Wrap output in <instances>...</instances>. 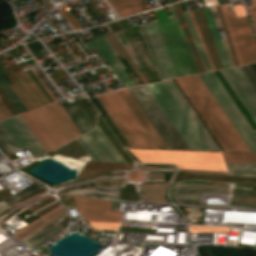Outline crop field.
Segmentation results:
<instances>
[{
  "mask_svg": "<svg viewBox=\"0 0 256 256\" xmlns=\"http://www.w3.org/2000/svg\"><path fill=\"white\" fill-rule=\"evenodd\" d=\"M220 73L245 107L253 121L256 123V91L242 71L239 67H236L221 70ZM199 77L204 82L251 152H256V130H251L213 72L200 74Z\"/></svg>",
  "mask_w": 256,
  "mask_h": 256,
  "instance_id": "8a807250",
  "label": "crop field"
},
{
  "mask_svg": "<svg viewBox=\"0 0 256 256\" xmlns=\"http://www.w3.org/2000/svg\"><path fill=\"white\" fill-rule=\"evenodd\" d=\"M173 82L169 80L146 87L189 149L220 151Z\"/></svg>",
  "mask_w": 256,
  "mask_h": 256,
  "instance_id": "ac0d7876",
  "label": "crop field"
},
{
  "mask_svg": "<svg viewBox=\"0 0 256 256\" xmlns=\"http://www.w3.org/2000/svg\"><path fill=\"white\" fill-rule=\"evenodd\" d=\"M175 81L223 151L250 152L198 75L176 78Z\"/></svg>",
  "mask_w": 256,
  "mask_h": 256,
  "instance_id": "34b2d1b8",
  "label": "crop field"
},
{
  "mask_svg": "<svg viewBox=\"0 0 256 256\" xmlns=\"http://www.w3.org/2000/svg\"><path fill=\"white\" fill-rule=\"evenodd\" d=\"M172 15L167 16L164 8L153 10L157 19L153 20L163 47L176 77L199 73L173 6H168Z\"/></svg>",
  "mask_w": 256,
  "mask_h": 256,
  "instance_id": "412701ff",
  "label": "crop field"
},
{
  "mask_svg": "<svg viewBox=\"0 0 256 256\" xmlns=\"http://www.w3.org/2000/svg\"><path fill=\"white\" fill-rule=\"evenodd\" d=\"M128 150L140 162L174 163L179 169L226 171L220 153Z\"/></svg>",
  "mask_w": 256,
  "mask_h": 256,
  "instance_id": "f4fd0767",
  "label": "crop field"
},
{
  "mask_svg": "<svg viewBox=\"0 0 256 256\" xmlns=\"http://www.w3.org/2000/svg\"><path fill=\"white\" fill-rule=\"evenodd\" d=\"M131 147L156 148L117 91L97 96Z\"/></svg>",
  "mask_w": 256,
  "mask_h": 256,
  "instance_id": "dd49c442",
  "label": "crop field"
},
{
  "mask_svg": "<svg viewBox=\"0 0 256 256\" xmlns=\"http://www.w3.org/2000/svg\"><path fill=\"white\" fill-rule=\"evenodd\" d=\"M128 91L131 93L168 148L188 149L145 85L129 88Z\"/></svg>",
  "mask_w": 256,
  "mask_h": 256,
  "instance_id": "e52e79f7",
  "label": "crop field"
},
{
  "mask_svg": "<svg viewBox=\"0 0 256 256\" xmlns=\"http://www.w3.org/2000/svg\"><path fill=\"white\" fill-rule=\"evenodd\" d=\"M21 117L47 153L68 142L44 107L21 114Z\"/></svg>",
  "mask_w": 256,
  "mask_h": 256,
  "instance_id": "d8731c3e",
  "label": "crop field"
},
{
  "mask_svg": "<svg viewBox=\"0 0 256 256\" xmlns=\"http://www.w3.org/2000/svg\"><path fill=\"white\" fill-rule=\"evenodd\" d=\"M76 139L93 161L125 163L98 126Z\"/></svg>",
  "mask_w": 256,
  "mask_h": 256,
  "instance_id": "5a996713",
  "label": "crop field"
},
{
  "mask_svg": "<svg viewBox=\"0 0 256 256\" xmlns=\"http://www.w3.org/2000/svg\"><path fill=\"white\" fill-rule=\"evenodd\" d=\"M0 123L19 150L27 148L33 158L46 154L19 115L2 120Z\"/></svg>",
  "mask_w": 256,
  "mask_h": 256,
  "instance_id": "3316defc",
  "label": "crop field"
},
{
  "mask_svg": "<svg viewBox=\"0 0 256 256\" xmlns=\"http://www.w3.org/2000/svg\"><path fill=\"white\" fill-rule=\"evenodd\" d=\"M227 16L235 36L243 63L256 61V42L245 16L236 18L233 11Z\"/></svg>",
  "mask_w": 256,
  "mask_h": 256,
  "instance_id": "28ad6ade",
  "label": "crop field"
},
{
  "mask_svg": "<svg viewBox=\"0 0 256 256\" xmlns=\"http://www.w3.org/2000/svg\"><path fill=\"white\" fill-rule=\"evenodd\" d=\"M7 77L12 84L11 87L17 93L28 110L49 103L48 99L26 71Z\"/></svg>",
  "mask_w": 256,
  "mask_h": 256,
  "instance_id": "d1516ede",
  "label": "crop field"
},
{
  "mask_svg": "<svg viewBox=\"0 0 256 256\" xmlns=\"http://www.w3.org/2000/svg\"><path fill=\"white\" fill-rule=\"evenodd\" d=\"M74 201L86 221L120 222L121 213L109 212L111 201L79 196Z\"/></svg>",
  "mask_w": 256,
  "mask_h": 256,
  "instance_id": "22f410ed",
  "label": "crop field"
},
{
  "mask_svg": "<svg viewBox=\"0 0 256 256\" xmlns=\"http://www.w3.org/2000/svg\"><path fill=\"white\" fill-rule=\"evenodd\" d=\"M229 186L220 184L179 183L174 188V197L181 202L198 203L201 192L228 194Z\"/></svg>",
  "mask_w": 256,
  "mask_h": 256,
  "instance_id": "cbeb9de0",
  "label": "crop field"
},
{
  "mask_svg": "<svg viewBox=\"0 0 256 256\" xmlns=\"http://www.w3.org/2000/svg\"><path fill=\"white\" fill-rule=\"evenodd\" d=\"M90 42L98 51V53L102 56V58L106 61L109 67L113 70V72L117 75V77L120 79V81L124 84L125 87L139 84L135 78L130 79L128 75L125 73V71L123 70L125 68L115 56L117 55L116 52L112 49V47L105 40L104 37L90 40Z\"/></svg>",
  "mask_w": 256,
  "mask_h": 256,
  "instance_id": "5142ce71",
  "label": "crop field"
},
{
  "mask_svg": "<svg viewBox=\"0 0 256 256\" xmlns=\"http://www.w3.org/2000/svg\"><path fill=\"white\" fill-rule=\"evenodd\" d=\"M118 93L121 95L125 103L128 105L130 110L133 112L135 117L138 119L142 127L145 129L147 134L150 136L157 148H167L160 136L157 134L153 126L150 124L146 116L143 114L139 106L136 104L132 96L129 94L127 89L119 90Z\"/></svg>",
  "mask_w": 256,
  "mask_h": 256,
  "instance_id": "d9b57169",
  "label": "crop field"
},
{
  "mask_svg": "<svg viewBox=\"0 0 256 256\" xmlns=\"http://www.w3.org/2000/svg\"><path fill=\"white\" fill-rule=\"evenodd\" d=\"M65 215L67 214L65 213L61 215L60 217L56 218L52 222L48 223L47 225L43 226L42 228L38 229L37 231L33 232L32 234L20 241H22L32 250L35 249L36 247L47 241L49 238L60 232L62 229H64L55 222L64 217Z\"/></svg>",
  "mask_w": 256,
  "mask_h": 256,
  "instance_id": "733c2abd",
  "label": "crop field"
},
{
  "mask_svg": "<svg viewBox=\"0 0 256 256\" xmlns=\"http://www.w3.org/2000/svg\"><path fill=\"white\" fill-rule=\"evenodd\" d=\"M68 116L71 118L73 123L76 125L81 134L93 129L94 124L88 117L84 109L81 107L79 102L72 103L71 105L63 106Z\"/></svg>",
  "mask_w": 256,
  "mask_h": 256,
  "instance_id": "4a817a6b",
  "label": "crop field"
},
{
  "mask_svg": "<svg viewBox=\"0 0 256 256\" xmlns=\"http://www.w3.org/2000/svg\"><path fill=\"white\" fill-rule=\"evenodd\" d=\"M145 25H146L149 35L151 37L152 43L154 45V48L156 50V53L158 55L161 65H162V68H163L166 78L167 79L174 78L175 76H174L171 66L169 64V61L165 54V51L162 47V44L160 42V39L158 37V34L156 32L153 22L152 21L148 22Z\"/></svg>",
  "mask_w": 256,
  "mask_h": 256,
  "instance_id": "bc2a9ffb",
  "label": "crop field"
},
{
  "mask_svg": "<svg viewBox=\"0 0 256 256\" xmlns=\"http://www.w3.org/2000/svg\"><path fill=\"white\" fill-rule=\"evenodd\" d=\"M119 17L146 10L141 0H113L108 2Z\"/></svg>",
  "mask_w": 256,
  "mask_h": 256,
  "instance_id": "214f88e0",
  "label": "crop field"
},
{
  "mask_svg": "<svg viewBox=\"0 0 256 256\" xmlns=\"http://www.w3.org/2000/svg\"><path fill=\"white\" fill-rule=\"evenodd\" d=\"M223 68L229 67L209 8L202 9Z\"/></svg>",
  "mask_w": 256,
  "mask_h": 256,
  "instance_id": "92a150f3",
  "label": "crop field"
},
{
  "mask_svg": "<svg viewBox=\"0 0 256 256\" xmlns=\"http://www.w3.org/2000/svg\"><path fill=\"white\" fill-rule=\"evenodd\" d=\"M4 75H7V73L0 65V89L8 98V100L11 102V104L14 106V108L17 110L18 113L27 111L26 107L23 105V103L20 101V99L17 97V95L14 93V91L11 89V87L2 77Z\"/></svg>",
  "mask_w": 256,
  "mask_h": 256,
  "instance_id": "dafd665d",
  "label": "crop field"
},
{
  "mask_svg": "<svg viewBox=\"0 0 256 256\" xmlns=\"http://www.w3.org/2000/svg\"><path fill=\"white\" fill-rule=\"evenodd\" d=\"M173 6H174V9H175V11H176V14H177V16H178V18H179V21H180V23H181V25H182V28H183V30H184V33H185V35H186V37H187V40H188L189 45H190V47H191V50H192V52H193V54H194V57H195V59H196V62H197V64H198V66H199V69H200L201 72H204V71H206V70H205L204 65H203V63H202V61H201V58H200V56H199V53H198V51H197V48H196V46H195V43H194V41H193V38H192L191 33H190V31H189V28H188V26H187V24H186V21H185V19H184V16H183V14L181 13V11H180L179 6H178L177 3L174 4ZM198 66H197V67H198ZM200 71H199V72H200Z\"/></svg>",
  "mask_w": 256,
  "mask_h": 256,
  "instance_id": "00972430",
  "label": "crop field"
},
{
  "mask_svg": "<svg viewBox=\"0 0 256 256\" xmlns=\"http://www.w3.org/2000/svg\"><path fill=\"white\" fill-rule=\"evenodd\" d=\"M44 188L43 186H41L38 183H33L31 185H29L28 187L24 188L23 190L15 193L13 196L9 197L6 200H2L0 199V212H2L4 209H6L8 206H10L12 203L40 190Z\"/></svg>",
  "mask_w": 256,
  "mask_h": 256,
  "instance_id": "a9b5d70f",
  "label": "crop field"
},
{
  "mask_svg": "<svg viewBox=\"0 0 256 256\" xmlns=\"http://www.w3.org/2000/svg\"><path fill=\"white\" fill-rule=\"evenodd\" d=\"M130 167H132V165L87 161L79 178L89 175L91 173H94L96 171L104 170V169H119V168H130Z\"/></svg>",
  "mask_w": 256,
  "mask_h": 256,
  "instance_id": "4177f3b9",
  "label": "crop field"
},
{
  "mask_svg": "<svg viewBox=\"0 0 256 256\" xmlns=\"http://www.w3.org/2000/svg\"><path fill=\"white\" fill-rule=\"evenodd\" d=\"M106 40L111 44V46L115 49V51L120 55L121 58L125 57L126 60L129 62V64L132 66L134 71L137 73V75L140 77V79L143 81V83H147L143 75L140 73L132 59L129 57L121 43L118 41L114 33L105 36ZM124 58V59H125Z\"/></svg>",
  "mask_w": 256,
  "mask_h": 256,
  "instance_id": "730fd06b",
  "label": "crop field"
},
{
  "mask_svg": "<svg viewBox=\"0 0 256 256\" xmlns=\"http://www.w3.org/2000/svg\"><path fill=\"white\" fill-rule=\"evenodd\" d=\"M45 109L48 111V113L53 118V120L58 125L60 130L63 132L65 137L68 139V141L76 138L75 135L73 134V132L71 131V129L68 127V125L62 118V116L60 115V113L57 111V109L53 105V103L45 106Z\"/></svg>",
  "mask_w": 256,
  "mask_h": 256,
  "instance_id": "eef30255",
  "label": "crop field"
},
{
  "mask_svg": "<svg viewBox=\"0 0 256 256\" xmlns=\"http://www.w3.org/2000/svg\"><path fill=\"white\" fill-rule=\"evenodd\" d=\"M137 27L139 29V32H140V34L142 36V39H143V41H144V43H145V45H146V47H147V49L149 51V54H150V56H151V58H152V60H153V62L155 64V67H156V69H157L161 79L162 80L166 79L165 76H164V73L162 71V68L160 66L159 60L157 58V55L155 53V50L153 48V45L151 43V40L149 38V35H148V32L146 30L145 25L142 24V25H138Z\"/></svg>",
  "mask_w": 256,
  "mask_h": 256,
  "instance_id": "ae1a2a85",
  "label": "crop field"
},
{
  "mask_svg": "<svg viewBox=\"0 0 256 256\" xmlns=\"http://www.w3.org/2000/svg\"><path fill=\"white\" fill-rule=\"evenodd\" d=\"M225 162L256 163V154L222 153Z\"/></svg>",
  "mask_w": 256,
  "mask_h": 256,
  "instance_id": "d3111659",
  "label": "crop field"
},
{
  "mask_svg": "<svg viewBox=\"0 0 256 256\" xmlns=\"http://www.w3.org/2000/svg\"><path fill=\"white\" fill-rule=\"evenodd\" d=\"M1 124V123H0ZM0 149L4 155L18 151V148L12 142L5 130L0 125Z\"/></svg>",
  "mask_w": 256,
  "mask_h": 256,
  "instance_id": "750c4746",
  "label": "crop field"
},
{
  "mask_svg": "<svg viewBox=\"0 0 256 256\" xmlns=\"http://www.w3.org/2000/svg\"><path fill=\"white\" fill-rule=\"evenodd\" d=\"M63 213H65V211H64V208L62 207L58 211L54 212L50 216L46 217L45 219L41 220L37 224L33 225L32 227L28 228L27 230L23 231L22 233H20L19 235L15 236V237L20 240V239L24 238L25 236L29 235L30 233H32L33 231L37 230L38 228L42 227L43 225L47 224L51 220L60 216Z\"/></svg>",
  "mask_w": 256,
  "mask_h": 256,
  "instance_id": "bd1437ed",
  "label": "crop field"
},
{
  "mask_svg": "<svg viewBox=\"0 0 256 256\" xmlns=\"http://www.w3.org/2000/svg\"><path fill=\"white\" fill-rule=\"evenodd\" d=\"M192 12H193L194 17H195V19H196V22H197V24H198V26H199V29H200V31H201V34H202V36H203V39H204V41H205V44H206L207 49H208V51H209V54H210V56H211V58H212V61H213V63H214V66H215L216 69H219V68H218V65H217V62H216V59H215V57H214V54H213V51H212V48H211L209 39H208V37H207V34H206V31H205V28H204L202 19H201V17H200L199 11H198V10H195V11H192Z\"/></svg>",
  "mask_w": 256,
  "mask_h": 256,
  "instance_id": "1d83c4d3",
  "label": "crop field"
},
{
  "mask_svg": "<svg viewBox=\"0 0 256 256\" xmlns=\"http://www.w3.org/2000/svg\"><path fill=\"white\" fill-rule=\"evenodd\" d=\"M207 71L211 70L187 12L183 13ZM201 60V61H202Z\"/></svg>",
  "mask_w": 256,
  "mask_h": 256,
  "instance_id": "120bbe31",
  "label": "crop field"
},
{
  "mask_svg": "<svg viewBox=\"0 0 256 256\" xmlns=\"http://www.w3.org/2000/svg\"><path fill=\"white\" fill-rule=\"evenodd\" d=\"M219 7H220V10H221V13H222V16H223V19H224V22H225V25H226V28H227V31H228L230 40H231V43H232V46H233V49H234V52H235V55H236L238 64L241 65V64H243V63H242L240 54H239V52H238V49H237V46H236V43H235V40H234L232 31H231V28H230V26H229V23H228L226 14H225L224 7H223V6H219Z\"/></svg>",
  "mask_w": 256,
  "mask_h": 256,
  "instance_id": "d32e631a",
  "label": "crop field"
},
{
  "mask_svg": "<svg viewBox=\"0 0 256 256\" xmlns=\"http://www.w3.org/2000/svg\"><path fill=\"white\" fill-rule=\"evenodd\" d=\"M229 175L256 176V168L226 167Z\"/></svg>",
  "mask_w": 256,
  "mask_h": 256,
  "instance_id": "5866460e",
  "label": "crop field"
},
{
  "mask_svg": "<svg viewBox=\"0 0 256 256\" xmlns=\"http://www.w3.org/2000/svg\"><path fill=\"white\" fill-rule=\"evenodd\" d=\"M191 233L197 232H221L227 233L228 228L226 227H210V226H189Z\"/></svg>",
  "mask_w": 256,
  "mask_h": 256,
  "instance_id": "028f5c9d",
  "label": "crop field"
},
{
  "mask_svg": "<svg viewBox=\"0 0 256 256\" xmlns=\"http://www.w3.org/2000/svg\"><path fill=\"white\" fill-rule=\"evenodd\" d=\"M70 193L73 194H98V195H104V196H110V197H117V190L112 192H103L93 189H77V190H70Z\"/></svg>",
  "mask_w": 256,
  "mask_h": 256,
  "instance_id": "e1f06a70",
  "label": "crop field"
},
{
  "mask_svg": "<svg viewBox=\"0 0 256 256\" xmlns=\"http://www.w3.org/2000/svg\"><path fill=\"white\" fill-rule=\"evenodd\" d=\"M188 13H189L190 18H191V20H192V23H193V25H194V27H195V30H196V32H197V35H198V37H199V40H200V42H201V45H202L203 50H204V52H205V55H206V57H207V59H208V62H209V64H210V67H211L212 70H214L215 68H214L213 63H212V61H211V58H210V56H209V54H208V51H207V49H206V46H205V44H204V41H203V39H202V36H201L200 31H199V29H198V26H197V24H196V22H195V19H194V17H193V14H192L191 11H189Z\"/></svg>",
  "mask_w": 256,
  "mask_h": 256,
  "instance_id": "0bd39190",
  "label": "crop field"
},
{
  "mask_svg": "<svg viewBox=\"0 0 256 256\" xmlns=\"http://www.w3.org/2000/svg\"><path fill=\"white\" fill-rule=\"evenodd\" d=\"M54 105L56 106V108L58 109V111L61 113V115L63 116V118L65 119V121L67 122V124L69 125V127L72 129V131L74 132V134L77 136L81 135L80 132L77 130V128L75 127V125L72 123V121L70 120V118L67 116V114L65 113V111L62 109V107L60 106L59 102H55Z\"/></svg>",
  "mask_w": 256,
  "mask_h": 256,
  "instance_id": "b80d0937",
  "label": "crop field"
},
{
  "mask_svg": "<svg viewBox=\"0 0 256 256\" xmlns=\"http://www.w3.org/2000/svg\"><path fill=\"white\" fill-rule=\"evenodd\" d=\"M88 223L100 230H116V228L119 225V223H103V222H88Z\"/></svg>",
  "mask_w": 256,
  "mask_h": 256,
  "instance_id": "c035e120",
  "label": "crop field"
},
{
  "mask_svg": "<svg viewBox=\"0 0 256 256\" xmlns=\"http://www.w3.org/2000/svg\"><path fill=\"white\" fill-rule=\"evenodd\" d=\"M240 69L243 71L245 76L248 78V80L250 81V83L253 85V87L256 90V77L253 74V72L251 71V69L248 67V65L240 66Z\"/></svg>",
  "mask_w": 256,
  "mask_h": 256,
  "instance_id": "c21b1889",
  "label": "crop field"
},
{
  "mask_svg": "<svg viewBox=\"0 0 256 256\" xmlns=\"http://www.w3.org/2000/svg\"><path fill=\"white\" fill-rule=\"evenodd\" d=\"M60 207H62L61 205L56 207L55 209L51 210L50 212L46 213L45 215L41 216L40 218L36 219L35 221L31 222L30 224L26 225L25 227L21 228L20 230L16 231L15 233L11 234L13 236L19 234L20 232H22L23 230L27 229L28 227L32 226L33 224H35L36 222L40 221L41 219L45 218L46 216L50 215L51 213H53L54 211L58 210Z\"/></svg>",
  "mask_w": 256,
  "mask_h": 256,
  "instance_id": "03da06ac",
  "label": "crop field"
},
{
  "mask_svg": "<svg viewBox=\"0 0 256 256\" xmlns=\"http://www.w3.org/2000/svg\"><path fill=\"white\" fill-rule=\"evenodd\" d=\"M31 73L35 76V78L38 80V82L42 85V87L45 89V91L49 94V96L52 98L53 101H56V97L53 95V93L48 89V87L43 83V81L40 79V77L35 73L33 69H30Z\"/></svg>",
  "mask_w": 256,
  "mask_h": 256,
  "instance_id": "b54c1fbb",
  "label": "crop field"
},
{
  "mask_svg": "<svg viewBox=\"0 0 256 256\" xmlns=\"http://www.w3.org/2000/svg\"><path fill=\"white\" fill-rule=\"evenodd\" d=\"M8 116H11L10 112L4 106V104L0 101V119H4Z\"/></svg>",
  "mask_w": 256,
  "mask_h": 256,
  "instance_id": "5d738f31",
  "label": "crop field"
},
{
  "mask_svg": "<svg viewBox=\"0 0 256 256\" xmlns=\"http://www.w3.org/2000/svg\"><path fill=\"white\" fill-rule=\"evenodd\" d=\"M233 7H234L235 12H236V14H237L238 16L246 14V12H245V10H244L242 4L235 5V6H233Z\"/></svg>",
  "mask_w": 256,
  "mask_h": 256,
  "instance_id": "d23c7cc5",
  "label": "crop field"
},
{
  "mask_svg": "<svg viewBox=\"0 0 256 256\" xmlns=\"http://www.w3.org/2000/svg\"><path fill=\"white\" fill-rule=\"evenodd\" d=\"M226 166L256 167V164L225 163Z\"/></svg>",
  "mask_w": 256,
  "mask_h": 256,
  "instance_id": "425ffa30",
  "label": "crop field"
},
{
  "mask_svg": "<svg viewBox=\"0 0 256 256\" xmlns=\"http://www.w3.org/2000/svg\"><path fill=\"white\" fill-rule=\"evenodd\" d=\"M28 74L31 76V78L35 81V83L39 86V88L42 90V92L46 95V97L49 99L50 102H52L51 98L48 96V94L44 91V89L40 86V84L37 82V80L33 77V75L30 73L29 70H27Z\"/></svg>",
  "mask_w": 256,
  "mask_h": 256,
  "instance_id": "25e5ab78",
  "label": "crop field"
},
{
  "mask_svg": "<svg viewBox=\"0 0 256 256\" xmlns=\"http://www.w3.org/2000/svg\"><path fill=\"white\" fill-rule=\"evenodd\" d=\"M248 9H249L250 15H251V17H252V19H253V21H254V23L256 25V13H255V11H254L252 6L248 7Z\"/></svg>",
  "mask_w": 256,
  "mask_h": 256,
  "instance_id": "73cf0c24",
  "label": "crop field"
},
{
  "mask_svg": "<svg viewBox=\"0 0 256 256\" xmlns=\"http://www.w3.org/2000/svg\"><path fill=\"white\" fill-rule=\"evenodd\" d=\"M251 3H252V5H253V7H254V9L256 11V0H251Z\"/></svg>",
  "mask_w": 256,
  "mask_h": 256,
  "instance_id": "89e229c0",
  "label": "crop field"
},
{
  "mask_svg": "<svg viewBox=\"0 0 256 256\" xmlns=\"http://www.w3.org/2000/svg\"><path fill=\"white\" fill-rule=\"evenodd\" d=\"M167 2V4L178 1V0H165Z\"/></svg>",
  "mask_w": 256,
  "mask_h": 256,
  "instance_id": "1f2cbd36",
  "label": "crop field"
}]
</instances>
